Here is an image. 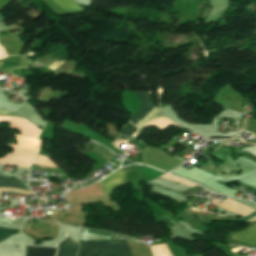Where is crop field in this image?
<instances>
[{
  "label": "crop field",
  "instance_id": "15",
  "mask_svg": "<svg viewBox=\"0 0 256 256\" xmlns=\"http://www.w3.org/2000/svg\"><path fill=\"white\" fill-rule=\"evenodd\" d=\"M160 177H164V178H167V179H170V180H174V181L180 182V183H182V184H185V185H188V186H191V187L196 186V185H194V184H192V183L186 182V181H184V180L178 179V178L173 177V176H170V175H168V174H164V175H162V176H160Z\"/></svg>",
  "mask_w": 256,
  "mask_h": 256
},
{
  "label": "crop field",
  "instance_id": "19",
  "mask_svg": "<svg viewBox=\"0 0 256 256\" xmlns=\"http://www.w3.org/2000/svg\"><path fill=\"white\" fill-rule=\"evenodd\" d=\"M4 20V18L0 15V21Z\"/></svg>",
  "mask_w": 256,
  "mask_h": 256
},
{
  "label": "crop field",
  "instance_id": "17",
  "mask_svg": "<svg viewBox=\"0 0 256 256\" xmlns=\"http://www.w3.org/2000/svg\"><path fill=\"white\" fill-rule=\"evenodd\" d=\"M0 115H10V116H13V114H12V113L2 112V111H0Z\"/></svg>",
  "mask_w": 256,
  "mask_h": 256
},
{
  "label": "crop field",
  "instance_id": "3",
  "mask_svg": "<svg viewBox=\"0 0 256 256\" xmlns=\"http://www.w3.org/2000/svg\"><path fill=\"white\" fill-rule=\"evenodd\" d=\"M3 121H7L11 123V128H16L20 130V134L37 138L41 133V129L33 126L30 122L25 119L17 118V117H9V116H0V123Z\"/></svg>",
  "mask_w": 256,
  "mask_h": 256
},
{
  "label": "crop field",
  "instance_id": "4",
  "mask_svg": "<svg viewBox=\"0 0 256 256\" xmlns=\"http://www.w3.org/2000/svg\"><path fill=\"white\" fill-rule=\"evenodd\" d=\"M36 154L29 153H8L0 159V164H13L28 168L36 159Z\"/></svg>",
  "mask_w": 256,
  "mask_h": 256
},
{
  "label": "crop field",
  "instance_id": "13",
  "mask_svg": "<svg viewBox=\"0 0 256 256\" xmlns=\"http://www.w3.org/2000/svg\"><path fill=\"white\" fill-rule=\"evenodd\" d=\"M137 130V128L132 125L128 124L124 130L122 131L121 135L119 136L120 139L128 140V138Z\"/></svg>",
  "mask_w": 256,
  "mask_h": 256
},
{
  "label": "crop field",
  "instance_id": "16",
  "mask_svg": "<svg viewBox=\"0 0 256 256\" xmlns=\"http://www.w3.org/2000/svg\"><path fill=\"white\" fill-rule=\"evenodd\" d=\"M15 230L0 227V240L10 236Z\"/></svg>",
  "mask_w": 256,
  "mask_h": 256
},
{
  "label": "crop field",
  "instance_id": "8",
  "mask_svg": "<svg viewBox=\"0 0 256 256\" xmlns=\"http://www.w3.org/2000/svg\"><path fill=\"white\" fill-rule=\"evenodd\" d=\"M78 248L79 245L67 236L62 242H60L58 246L59 253L57 256H75Z\"/></svg>",
  "mask_w": 256,
  "mask_h": 256
},
{
  "label": "crop field",
  "instance_id": "12",
  "mask_svg": "<svg viewBox=\"0 0 256 256\" xmlns=\"http://www.w3.org/2000/svg\"><path fill=\"white\" fill-rule=\"evenodd\" d=\"M53 1H55L59 6H61L65 11L81 8L72 0H53Z\"/></svg>",
  "mask_w": 256,
  "mask_h": 256
},
{
  "label": "crop field",
  "instance_id": "11",
  "mask_svg": "<svg viewBox=\"0 0 256 256\" xmlns=\"http://www.w3.org/2000/svg\"><path fill=\"white\" fill-rule=\"evenodd\" d=\"M0 187L23 188L28 190V188L22 182L18 180L6 178V177H1V176H0Z\"/></svg>",
  "mask_w": 256,
  "mask_h": 256
},
{
  "label": "crop field",
  "instance_id": "14",
  "mask_svg": "<svg viewBox=\"0 0 256 256\" xmlns=\"http://www.w3.org/2000/svg\"><path fill=\"white\" fill-rule=\"evenodd\" d=\"M34 163L43 165V166H47V167H54V168L58 167V166L56 167V165L52 161H50L47 157L41 156V155L38 156L37 161Z\"/></svg>",
  "mask_w": 256,
  "mask_h": 256
},
{
  "label": "crop field",
  "instance_id": "9",
  "mask_svg": "<svg viewBox=\"0 0 256 256\" xmlns=\"http://www.w3.org/2000/svg\"><path fill=\"white\" fill-rule=\"evenodd\" d=\"M56 249L26 246V256H55Z\"/></svg>",
  "mask_w": 256,
  "mask_h": 256
},
{
  "label": "crop field",
  "instance_id": "2",
  "mask_svg": "<svg viewBox=\"0 0 256 256\" xmlns=\"http://www.w3.org/2000/svg\"><path fill=\"white\" fill-rule=\"evenodd\" d=\"M139 99L141 100V107L138 113L135 114L130 121L134 124L138 119H140L149 109H151L155 104L153 103L149 93H141V92H134ZM161 111L156 107V105L149 110L140 120H138L134 125L138 128L142 127L146 122L156 118Z\"/></svg>",
  "mask_w": 256,
  "mask_h": 256
},
{
  "label": "crop field",
  "instance_id": "1",
  "mask_svg": "<svg viewBox=\"0 0 256 256\" xmlns=\"http://www.w3.org/2000/svg\"><path fill=\"white\" fill-rule=\"evenodd\" d=\"M78 254L97 256H132L126 243L83 242Z\"/></svg>",
  "mask_w": 256,
  "mask_h": 256
},
{
  "label": "crop field",
  "instance_id": "18",
  "mask_svg": "<svg viewBox=\"0 0 256 256\" xmlns=\"http://www.w3.org/2000/svg\"><path fill=\"white\" fill-rule=\"evenodd\" d=\"M255 220H256V216H255L254 218L248 220V221L253 222V221H255Z\"/></svg>",
  "mask_w": 256,
  "mask_h": 256
},
{
  "label": "crop field",
  "instance_id": "6",
  "mask_svg": "<svg viewBox=\"0 0 256 256\" xmlns=\"http://www.w3.org/2000/svg\"><path fill=\"white\" fill-rule=\"evenodd\" d=\"M219 201H222V200L213 199L212 203H214L222 208H225L227 210H230L232 212H235L237 214H240L242 216H247L255 211L254 209L246 207V206H244L232 199H229V198H227L225 201H222L223 204L218 203Z\"/></svg>",
  "mask_w": 256,
  "mask_h": 256
},
{
  "label": "crop field",
  "instance_id": "10",
  "mask_svg": "<svg viewBox=\"0 0 256 256\" xmlns=\"http://www.w3.org/2000/svg\"><path fill=\"white\" fill-rule=\"evenodd\" d=\"M231 237L256 245V225L245 232L234 234Z\"/></svg>",
  "mask_w": 256,
  "mask_h": 256
},
{
  "label": "crop field",
  "instance_id": "20",
  "mask_svg": "<svg viewBox=\"0 0 256 256\" xmlns=\"http://www.w3.org/2000/svg\"><path fill=\"white\" fill-rule=\"evenodd\" d=\"M174 126H177V125H175V124H173ZM179 127V126H178ZM181 128V127H180ZM183 129V128H182Z\"/></svg>",
  "mask_w": 256,
  "mask_h": 256
},
{
  "label": "crop field",
  "instance_id": "7",
  "mask_svg": "<svg viewBox=\"0 0 256 256\" xmlns=\"http://www.w3.org/2000/svg\"><path fill=\"white\" fill-rule=\"evenodd\" d=\"M14 136L17 139L18 144H7L11 148H21V149H35L39 150L41 146L40 140L30 139L28 137H22L14 133Z\"/></svg>",
  "mask_w": 256,
  "mask_h": 256
},
{
  "label": "crop field",
  "instance_id": "21",
  "mask_svg": "<svg viewBox=\"0 0 256 256\" xmlns=\"http://www.w3.org/2000/svg\"><path fill=\"white\" fill-rule=\"evenodd\" d=\"M0 64H1V62H0Z\"/></svg>",
  "mask_w": 256,
  "mask_h": 256
},
{
  "label": "crop field",
  "instance_id": "5",
  "mask_svg": "<svg viewBox=\"0 0 256 256\" xmlns=\"http://www.w3.org/2000/svg\"><path fill=\"white\" fill-rule=\"evenodd\" d=\"M125 175L126 171L119 170L100 181L101 183H104L103 192L105 197L108 196L114 189L125 184Z\"/></svg>",
  "mask_w": 256,
  "mask_h": 256
}]
</instances>
